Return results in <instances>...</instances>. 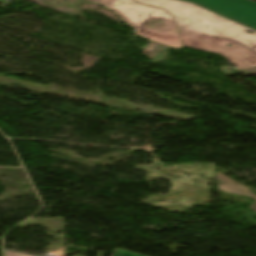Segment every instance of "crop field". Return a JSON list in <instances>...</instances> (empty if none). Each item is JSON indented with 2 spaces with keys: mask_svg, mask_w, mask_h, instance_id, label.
<instances>
[{
  "mask_svg": "<svg viewBox=\"0 0 256 256\" xmlns=\"http://www.w3.org/2000/svg\"><path fill=\"white\" fill-rule=\"evenodd\" d=\"M134 1L169 12L176 21L184 46L220 54L240 71L256 66V31L187 2ZM246 29L254 34L250 35Z\"/></svg>",
  "mask_w": 256,
  "mask_h": 256,
  "instance_id": "1",
  "label": "crop field"
},
{
  "mask_svg": "<svg viewBox=\"0 0 256 256\" xmlns=\"http://www.w3.org/2000/svg\"><path fill=\"white\" fill-rule=\"evenodd\" d=\"M98 4L115 12L139 36L176 49L184 47L173 17L166 11L133 0H100ZM151 18L162 20L164 26L154 29L144 25Z\"/></svg>",
  "mask_w": 256,
  "mask_h": 256,
  "instance_id": "2",
  "label": "crop field"
},
{
  "mask_svg": "<svg viewBox=\"0 0 256 256\" xmlns=\"http://www.w3.org/2000/svg\"><path fill=\"white\" fill-rule=\"evenodd\" d=\"M256 29V3L247 0H186Z\"/></svg>",
  "mask_w": 256,
  "mask_h": 256,
  "instance_id": "3",
  "label": "crop field"
},
{
  "mask_svg": "<svg viewBox=\"0 0 256 256\" xmlns=\"http://www.w3.org/2000/svg\"><path fill=\"white\" fill-rule=\"evenodd\" d=\"M216 179L220 181L217 183L218 188L224 191L225 193H234V194L244 195V196H248L253 200H256V194L250 192L248 188L228 178L227 176L217 172Z\"/></svg>",
  "mask_w": 256,
  "mask_h": 256,
  "instance_id": "4",
  "label": "crop field"
},
{
  "mask_svg": "<svg viewBox=\"0 0 256 256\" xmlns=\"http://www.w3.org/2000/svg\"><path fill=\"white\" fill-rule=\"evenodd\" d=\"M114 256H143V255H140V254H132L130 252H127V251H122V250H115L114 251Z\"/></svg>",
  "mask_w": 256,
  "mask_h": 256,
  "instance_id": "5",
  "label": "crop field"
},
{
  "mask_svg": "<svg viewBox=\"0 0 256 256\" xmlns=\"http://www.w3.org/2000/svg\"><path fill=\"white\" fill-rule=\"evenodd\" d=\"M248 208L256 212V201H254Z\"/></svg>",
  "mask_w": 256,
  "mask_h": 256,
  "instance_id": "6",
  "label": "crop field"
},
{
  "mask_svg": "<svg viewBox=\"0 0 256 256\" xmlns=\"http://www.w3.org/2000/svg\"><path fill=\"white\" fill-rule=\"evenodd\" d=\"M5 256H22V255H15V254L5 252Z\"/></svg>",
  "mask_w": 256,
  "mask_h": 256,
  "instance_id": "7",
  "label": "crop field"
},
{
  "mask_svg": "<svg viewBox=\"0 0 256 256\" xmlns=\"http://www.w3.org/2000/svg\"><path fill=\"white\" fill-rule=\"evenodd\" d=\"M89 1H92V2H96V3H98V1H99V0H89Z\"/></svg>",
  "mask_w": 256,
  "mask_h": 256,
  "instance_id": "8",
  "label": "crop field"
}]
</instances>
